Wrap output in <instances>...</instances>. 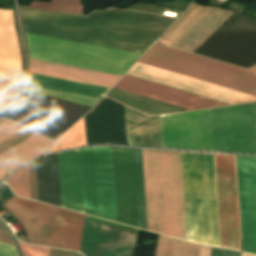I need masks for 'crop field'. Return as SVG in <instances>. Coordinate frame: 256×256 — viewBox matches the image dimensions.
<instances>
[{"instance_id": "crop-field-1", "label": "crop field", "mask_w": 256, "mask_h": 256, "mask_svg": "<svg viewBox=\"0 0 256 256\" xmlns=\"http://www.w3.org/2000/svg\"><path fill=\"white\" fill-rule=\"evenodd\" d=\"M139 62L196 78L256 97V79L245 69L155 43ZM137 62L133 77L226 104L256 101L255 97ZM124 75L114 88L188 109L224 105L209 99Z\"/></svg>"}, {"instance_id": "crop-field-2", "label": "crop field", "mask_w": 256, "mask_h": 256, "mask_svg": "<svg viewBox=\"0 0 256 256\" xmlns=\"http://www.w3.org/2000/svg\"><path fill=\"white\" fill-rule=\"evenodd\" d=\"M20 10L28 33L140 54L176 20L120 9L87 16Z\"/></svg>"}, {"instance_id": "crop-field-3", "label": "crop field", "mask_w": 256, "mask_h": 256, "mask_svg": "<svg viewBox=\"0 0 256 256\" xmlns=\"http://www.w3.org/2000/svg\"><path fill=\"white\" fill-rule=\"evenodd\" d=\"M84 213L116 222L111 147L79 149ZM78 149L58 153L62 207L82 212Z\"/></svg>"}, {"instance_id": "crop-field-4", "label": "crop field", "mask_w": 256, "mask_h": 256, "mask_svg": "<svg viewBox=\"0 0 256 256\" xmlns=\"http://www.w3.org/2000/svg\"><path fill=\"white\" fill-rule=\"evenodd\" d=\"M142 155L148 230L187 240L180 152Z\"/></svg>"}, {"instance_id": "crop-field-5", "label": "crop field", "mask_w": 256, "mask_h": 256, "mask_svg": "<svg viewBox=\"0 0 256 256\" xmlns=\"http://www.w3.org/2000/svg\"><path fill=\"white\" fill-rule=\"evenodd\" d=\"M181 158L188 240L219 247L212 154Z\"/></svg>"}, {"instance_id": "crop-field-6", "label": "crop field", "mask_w": 256, "mask_h": 256, "mask_svg": "<svg viewBox=\"0 0 256 256\" xmlns=\"http://www.w3.org/2000/svg\"><path fill=\"white\" fill-rule=\"evenodd\" d=\"M3 206L23 225L29 243L78 251L84 214L17 196Z\"/></svg>"}, {"instance_id": "crop-field-7", "label": "crop field", "mask_w": 256, "mask_h": 256, "mask_svg": "<svg viewBox=\"0 0 256 256\" xmlns=\"http://www.w3.org/2000/svg\"><path fill=\"white\" fill-rule=\"evenodd\" d=\"M29 58L123 75L140 54L26 33Z\"/></svg>"}, {"instance_id": "crop-field-8", "label": "crop field", "mask_w": 256, "mask_h": 256, "mask_svg": "<svg viewBox=\"0 0 256 256\" xmlns=\"http://www.w3.org/2000/svg\"><path fill=\"white\" fill-rule=\"evenodd\" d=\"M117 222L147 230L141 149L112 147Z\"/></svg>"}, {"instance_id": "crop-field-9", "label": "crop field", "mask_w": 256, "mask_h": 256, "mask_svg": "<svg viewBox=\"0 0 256 256\" xmlns=\"http://www.w3.org/2000/svg\"><path fill=\"white\" fill-rule=\"evenodd\" d=\"M214 151L256 154L254 103L210 109Z\"/></svg>"}, {"instance_id": "crop-field-10", "label": "crop field", "mask_w": 256, "mask_h": 256, "mask_svg": "<svg viewBox=\"0 0 256 256\" xmlns=\"http://www.w3.org/2000/svg\"><path fill=\"white\" fill-rule=\"evenodd\" d=\"M220 247L240 250L235 156L213 154Z\"/></svg>"}, {"instance_id": "crop-field-11", "label": "crop field", "mask_w": 256, "mask_h": 256, "mask_svg": "<svg viewBox=\"0 0 256 256\" xmlns=\"http://www.w3.org/2000/svg\"><path fill=\"white\" fill-rule=\"evenodd\" d=\"M164 148L213 151L209 109L161 116Z\"/></svg>"}, {"instance_id": "crop-field-12", "label": "crop field", "mask_w": 256, "mask_h": 256, "mask_svg": "<svg viewBox=\"0 0 256 256\" xmlns=\"http://www.w3.org/2000/svg\"><path fill=\"white\" fill-rule=\"evenodd\" d=\"M14 123L15 122L9 119L0 118V134L8 129L10 126H12ZM25 128L26 127L16 123L0 135V143L12 138L13 136L23 131ZM34 134L35 133L27 129L24 130L14 138L1 144L0 153H3L15 147L16 145L27 140ZM52 142V140L37 133L36 135L16 146L15 148L1 154L0 164L11 172L24 162L48 152Z\"/></svg>"}, {"instance_id": "crop-field-13", "label": "crop field", "mask_w": 256, "mask_h": 256, "mask_svg": "<svg viewBox=\"0 0 256 256\" xmlns=\"http://www.w3.org/2000/svg\"><path fill=\"white\" fill-rule=\"evenodd\" d=\"M242 249L256 254V157L236 156Z\"/></svg>"}, {"instance_id": "crop-field-14", "label": "crop field", "mask_w": 256, "mask_h": 256, "mask_svg": "<svg viewBox=\"0 0 256 256\" xmlns=\"http://www.w3.org/2000/svg\"><path fill=\"white\" fill-rule=\"evenodd\" d=\"M20 74V50L13 24V13L0 10V76L17 83Z\"/></svg>"}, {"instance_id": "crop-field-15", "label": "crop field", "mask_w": 256, "mask_h": 256, "mask_svg": "<svg viewBox=\"0 0 256 256\" xmlns=\"http://www.w3.org/2000/svg\"><path fill=\"white\" fill-rule=\"evenodd\" d=\"M28 72L111 87L121 76L29 59Z\"/></svg>"}, {"instance_id": "crop-field-16", "label": "crop field", "mask_w": 256, "mask_h": 256, "mask_svg": "<svg viewBox=\"0 0 256 256\" xmlns=\"http://www.w3.org/2000/svg\"><path fill=\"white\" fill-rule=\"evenodd\" d=\"M128 145L163 148L160 116L146 117L124 106Z\"/></svg>"}, {"instance_id": "crop-field-17", "label": "crop field", "mask_w": 256, "mask_h": 256, "mask_svg": "<svg viewBox=\"0 0 256 256\" xmlns=\"http://www.w3.org/2000/svg\"><path fill=\"white\" fill-rule=\"evenodd\" d=\"M232 14L233 12L211 7L172 47L193 52Z\"/></svg>"}, {"instance_id": "crop-field-18", "label": "crop field", "mask_w": 256, "mask_h": 256, "mask_svg": "<svg viewBox=\"0 0 256 256\" xmlns=\"http://www.w3.org/2000/svg\"><path fill=\"white\" fill-rule=\"evenodd\" d=\"M39 201L60 206L57 153L36 159Z\"/></svg>"}, {"instance_id": "crop-field-19", "label": "crop field", "mask_w": 256, "mask_h": 256, "mask_svg": "<svg viewBox=\"0 0 256 256\" xmlns=\"http://www.w3.org/2000/svg\"><path fill=\"white\" fill-rule=\"evenodd\" d=\"M24 85L97 99H100V97L104 95L106 91L109 89L108 87L63 80L30 73H28Z\"/></svg>"}, {"instance_id": "crop-field-20", "label": "crop field", "mask_w": 256, "mask_h": 256, "mask_svg": "<svg viewBox=\"0 0 256 256\" xmlns=\"http://www.w3.org/2000/svg\"><path fill=\"white\" fill-rule=\"evenodd\" d=\"M107 96L116 99L122 103H125L129 106H132L138 110H141L147 114L154 115L160 113H167L173 111L186 110L181 107L121 91L118 89L112 88Z\"/></svg>"}, {"instance_id": "crop-field-21", "label": "crop field", "mask_w": 256, "mask_h": 256, "mask_svg": "<svg viewBox=\"0 0 256 256\" xmlns=\"http://www.w3.org/2000/svg\"><path fill=\"white\" fill-rule=\"evenodd\" d=\"M209 8L210 7L193 4L191 8L157 42L171 46Z\"/></svg>"}, {"instance_id": "crop-field-22", "label": "crop field", "mask_w": 256, "mask_h": 256, "mask_svg": "<svg viewBox=\"0 0 256 256\" xmlns=\"http://www.w3.org/2000/svg\"><path fill=\"white\" fill-rule=\"evenodd\" d=\"M155 256H199L200 245L160 236Z\"/></svg>"}, {"instance_id": "crop-field-23", "label": "crop field", "mask_w": 256, "mask_h": 256, "mask_svg": "<svg viewBox=\"0 0 256 256\" xmlns=\"http://www.w3.org/2000/svg\"><path fill=\"white\" fill-rule=\"evenodd\" d=\"M86 145L84 121L83 118L79 120L74 126L66 131L61 137H59L53 145L51 152Z\"/></svg>"}, {"instance_id": "crop-field-24", "label": "crop field", "mask_w": 256, "mask_h": 256, "mask_svg": "<svg viewBox=\"0 0 256 256\" xmlns=\"http://www.w3.org/2000/svg\"><path fill=\"white\" fill-rule=\"evenodd\" d=\"M42 10L81 14L84 6L81 0H52V3L34 1L29 6H20Z\"/></svg>"}, {"instance_id": "crop-field-25", "label": "crop field", "mask_w": 256, "mask_h": 256, "mask_svg": "<svg viewBox=\"0 0 256 256\" xmlns=\"http://www.w3.org/2000/svg\"><path fill=\"white\" fill-rule=\"evenodd\" d=\"M5 182L11 186L15 195L29 198L27 166L17 170Z\"/></svg>"}, {"instance_id": "crop-field-26", "label": "crop field", "mask_w": 256, "mask_h": 256, "mask_svg": "<svg viewBox=\"0 0 256 256\" xmlns=\"http://www.w3.org/2000/svg\"><path fill=\"white\" fill-rule=\"evenodd\" d=\"M24 87H26V86H24ZM26 88H28L32 91H36V92H40V93L60 97V98H63V99H67V100H71V101H75V102H79V103H83V104H87V105H91V106H93L98 101L97 99H91V98H86V97L70 95V94H64V93H59V92L42 90V89H37V88H32V87H26Z\"/></svg>"}, {"instance_id": "crop-field-27", "label": "crop field", "mask_w": 256, "mask_h": 256, "mask_svg": "<svg viewBox=\"0 0 256 256\" xmlns=\"http://www.w3.org/2000/svg\"><path fill=\"white\" fill-rule=\"evenodd\" d=\"M19 245L22 250L23 256H48L50 249L48 247L28 245L21 242H19Z\"/></svg>"}, {"instance_id": "crop-field-28", "label": "crop field", "mask_w": 256, "mask_h": 256, "mask_svg": "<svg viewBox=\"0 0 256 256\" xmlns=\"http://www.w3.org/2000/svg\"><path fill=\"white\" fill-rule=\"evenodd\" d=\"M30 198L38 201L35 160L28 164Z\"/></svg>"}, {"instance_id": "crop-field-29", "label": "crop field", "mask_w": 256, "mask_h": 256, "mask_svg": "<svg viewBox=\"0 0 256 256\" xmlns=\"http://www.w3.org/2000/svg\"><path fill=\"white\" fill-rule=\"evenodd\" d=\"M16 86L0 78V106L10 97Z\"/></svg>"}, {"instance_id": "crop-field-30", "label": "crop field", "mask_w": 256, "mask_h": 256, "mask_svg": "<svg viewBox=\"0 0 256 256\" xmlns=\"http://www.w3.org/2000/svg\"><path fill=\"white\" fill-rule=\"evenodd\" d=\"M0 256H17L14 247L0 243Z\"/></svg>"}, {"instance_id": "crop-field-31", "label": "crop field", "mask_w": 256, "mask_h": 256, "mask_svg": "<svg viewBox=\"0 0 256 256\" xmlns=\"http://www.w3.org/2000/svg\"><path fill=\"white\" fill-rule=\"evenodd\" d=\"M210 250L211 248L202 246L200 256H210Z\"/></svg>"}, {"instance_id": "crop-field-32", "label": "crop field", "mask_w": 256, "mask_h": 256, "mask_svg": "<svg viewBox=\"0 0 256 256\" xmlns=\"http://www.w3.org/2000/svg\"><path fill=\"white\" fill-rule=\"evenodd\" d=\"M7 172L0 167V180L6 176Z\"/></svg>"}, {"instance_id": "crop-field-33", "label": "crop field", "mask_w": 256, "mask_h": 256, "mask_svg": "<svg viewBox=\"0 0 256 256\" xmlns=\"http://www.w3.org/2000/svg\"><path fill=\"white\" fill-rule=\"evenodd\" d=\"M256 77V65L248 69Z\"/></svg>"}, {"instance_id": "crop-field-34", "label": "crop field", "mask_w": 256, "mask_h": 256, "mask_svg": "<svg viewBox=\"0 0 256 256\" xmlns=\"http://www.w3.org/2000/svg\"><path fill=\"white\" fill-rule=\"evenodd\" d=\"M241 256H255V255H249V254H244V253H242Z\"/></svg>"}, {"instance_id": "crop-field-35", "label": "crop field", "mask_w": 256, "mask_h": 256, "mask_svg": "<svg viewBox=\"0 0 256 256\" xmlns=\"http://www.w3.org/2000/svg\"><path fill=\"white\" fill-rule=\"evenodd\" d=\"M255 108H256V103H255Z\"/></svg>"}]
</instances>
